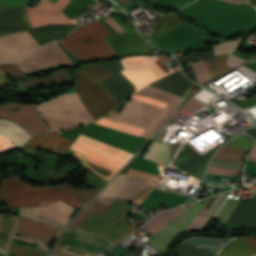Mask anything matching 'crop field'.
<instances>
[{
    "label": "crop field",
    "mask_w": 256,
    "mask_h": 256,
    "mask_svg": "<svg viewBox=\"0 0 256 256\" xmlns=\"http://www.w3.org/2000/svg\"><path fill=\"white\" fill-rule=\"evenodd\" d=\"M78 79L77 93L95 118L113 108L119 100L100 83L113 77L98 66H88L75 72ZM77 93H68L36 105L52 131L70 129L94 121Z\"/></svg>",
    "instance_id": "8a807250"
},
{
    "label": "crop field",
    "mask_w": 256,
    "mask_h": 256,
    "mask_svg": "<svg viewBox=\"0 0 256 256\" xmlns=\"http://www.w3.org/2000/svg\"><path fill=\"white\" fill-rule=\"evenodd\" d=\"M180 11L213 31L227 36L256 29V9L249 4L196 0Z\"/></svg>",
    "instance_id": "ac0d7876"
},
{
    "label": "crop field",
    "mask_w": 256,
    "mask_h": 256,
    "mask_svg": "<svg viewBox=\"0 0 256 256\" xmlns=\"http://www.w3.org/2000/svg\"><path fill=\"white\" fill-rule=\"evenodd\" d=\"M198 203V202H197ZM192 204L187 207H182L178 208L173 211L166 212L162 215L157 216L154 218L152 221H150L145 227H143L141 230L147 232L151 236L157 232L163 225H165L172 217H174L180 210V211L174 218H172L165 226H163L157 233H155L146 243L154 246L158 250L161 248L162 244L164 241L168 238L169 235L172 234L174 230L177 229V227L180 225V223L183 221V219L188 215V213L195 207L197 204ZM200 204L198 203L196 207L189 213V215L185 218V220L182 222V224L179 226V228L173 232L171 236L165 241L163 244L162 249L164 246L167 244L170 238L180 229V227L185 223V221L191 216V214L197 209V207ZM202 206L200 205L198 209L192 214V216L187 220V222L182 226V228L173 236L172 239L168 242L166 247L163 250L164 251L167 249L169 246L170 242L177 236L178 233L182 231V229L185 227V225L188 223V221L193 217V215L201 208ZM211 217V215L202 207L195 215L194 217L190 220V222L187 224V226L184 228L183 231H189V230H195V229H200L205 222Z\"/></svg>",
    "instance_id": "34b2d1b8"
},
{
    "label": "crop field",
    "mask_w": 256,
    "mask_h": 256,
    "mask_svg": "<svg viewBox=\"0 0 256 256\" xmlns=\"http://www.w3.org/2000/svg\"><path fill=\"white\" fill-rule=\"evenodd\" d=\"M55 200H62L77 207L83 203L61 190L34 187L15 176L0 180V204L18 207L39 206Z\"/></svg>",
    "instance_id": "412701ff"
},
{
    "label": "crop field",
    "mask_w": 256,
    "mask_h": 256,
    "mask_svg": "<svg viewBox=\"0 0 256 256\" xmlns=\"http://www.w3.org/2000/svg\"><path fill=\"white\" fill-rule=\"evenodd\" d=\"M109 35L99 22L95 20L89 24L82 25L76 32L59 42L80 61L107 58L117 56L103 38Z\"/></svg>",
    "instance_id": "f4fd0767"
},
{
    "label": "crop field",
    "mask_w": 256,
    "mask_h": 256,
    "mask_svg": "<svg viewBox=\"0 0 256 256\" xmlns=\"http://www.w3.org/2000/svg\"><path fill=\"white\" fill-rule=\"evenodd\" d=\"M181 99L168 104L164 109L130 99L119 114L113 110L107 118L146 128L142 136L150 138L175 112Z\"/></svg>",
    "instance_id": "dd49c442"
},
{
    "label": "crop field",
    "mask_w": 256,
    "mask_h": 256,
    "mask_svg": "<svg viewBox=\"0 0 256 256\" xmlns=\"http://www.w3.org/2000/svg\"><path fill=\"white\" fill-rule=\"evenodd\" d=\"M129 202L116 200L105 211L103 218L89 213L81 229L105 237L113 242H118L135 228L120 221L127 215L122 211Z\"/></svg>",
    "instance_id": "e52e79f7"
},
{
    "label": "crop field",
    "mask_w": 256,
    "mask_h": 256,
    "mask_svg": "<svg viewBox=\"0 0 256 256\" xmlns=\"http://www.w3.org/2000/svg\"><path fill=\"white\" fill-rule=\"evenodd\" d=\"M150 42L169 53H174L179 49L184 52L208 48L206 43L214 42V40L190 24L184 23Z\"/></svg>",
    "instance_id": "d8731c3e"
},
{
    "label": "crop field",
    "mask_w": 256,
    "mask_h": 256,
    "mask_svg": "<svg viewBox=\"0 0 256 256\" xmlns=\"http://www.w3.org/2000/svg\"><path fill=\"white\" fill-rule=\"evenodd\" d=\"M8 108L18 110L11 111ZM0 118L16 122L32 136L49 132L35 105L3 104L0 107Z\"/></svg>",
    "instance_id": "5a996713"
},
{
    "label": "crop field",
    "mask_w": 256,
    "mask_h": 256,
    "mask_svg": "<svg viewBox=\"0 0 256 256\" xmlns=\"http://www.w3.org/2000/svg\"><path fill=\"white\" fill-rule=\"evenodd\" d=\"M62 64L71 65V61L56 41L37 49L25 60L17 63L22 72L26 74Z\"/></svg>",
    "instance_id": "3316defc"
},
{
    "label": "crop field",
    "mask_w": 256,
    "mask_h": 256,
    "mask_svg": "<svg viewBox=\"0 0 256 256\" xmlns=\"http://www.w3.org/2000/svg\"><path fill=\"white\" fill-rule=\"evenodd\" d=\"M38 47L27 31L0 37V63L18 62Z\"/></svg>",
    "instance_id": "28ad6ade"
},
{
    "label": "crop field",
    "mask_w": 256,
    "mask_h": 256,
    "mask_svg": "<svg viewBox=\"0 0 256 256\" xmlns=\"http://www.w3.org/2000/svg\"><path fill=\"white\" fill-rule=\"evenodd\" d=\"M147 187L149 186L137 178L119 173L116 178L99 193L97 199L108 205L118 197L131 200Z\"/></svg>",
    "instance_id": "d1516ede"
},
{
    "label": "crop field",
    "mask_w": 256,
    "mask_h": 256,
    "mask_svg": "<svg viewBox=\"0 0 256 256\" xmlns=\"http://www.w3.org/2000/svg\"><path fill=\"white\" fill-rule=\"evenodd\" d=\"M70 0H48L41 2L27 10V17L33 28L49 23H77L76 19L68 20L61 11Z\"/></svg>",
    "instance_id": "22f410ed"
},
{
    "label": "crop field",
    "mask_w": 256,
    "mask_h": 256,
    "mask_svg": "<svg viewBox=\"0 0 256 256\" xmlns=\"http://www.w3.org/2000/svg\"><path fill=\"white\" fill-rule=\"evenodd\" d=\"M113 244L100 236L76 229H65L56 242V245L77 247L90 254L103 251Z\"/></svg>",
    "instance_id": "cbeb9de0"
},
{
    "label": "crop field",
    "mask_w": 256,
    "mask_h": 256,
    "mask_svg": "<svg viewBox=\"0 0 256 256\" xmlns=\"http://www.w3.org/2000/svg\"><path fill=\"white\" fill-rule=\"evenodd\" d=\"M236 237L229 238H205L200 236H193L181 242V244H185L191 247H195L201 250H205L211 253L220 254L222 248L231 240ZM179 244L177 247L178 256H218L208 252H204L198 249H194L188 246H184ZM224 249V248H223Z\"/></svg>",
    "instance_id": "5142ce71"
},
{
    "label": "crop field",
    "mask_w": 256,
    "mask_h": 256,
    "mask_svg": "<svg viewBox=\"0 0 256 256\" xmlns=\"http://www.w3.org/2000/svg\"><path fill=\"white\" fill-rule=\"evenodd\" d=\"M105 39L119 56L132 53H148L153 49L139 35L136 29L112 35Z\"/></svg>",
    "instance_id": "d9b57169"
},
{
    "label": "crop field",
    "mask_w": 256,
    "mask_h": 256,
    "mask_svg": "<svg viewBox=\"0 0 256 256\" xmlns=\"http://www.w3.org/2000/svg\"><path fill=\"white\" fill-rule=\"evenodd\" d=\"M122 72L132 81L138 91L148 83L172 73L174 70L155 57L149 65L143 68Z\"/></svg>",
    "instance_id": "733c2abd"
},
{
    "label": "crop field",
    "mask_w": 256,
    "mask_h": 256,
    "mask_svg": "<svg viewBox=\"0 0 256 256\" xmlns=\"http://www.w3.org/2000/svg\"><path fill=\"white\" fill-rule=\"evenodd\" d=\"M98 65L115 76L114 78L102 83L114 97L124 100L133 94V84L120 72V70H123L120 61L101 63Z\"/></svg>",
    "instance_id": "4a817a6b"
},
{
    "label": "crop field",
    "mask_w": 256,
    "mask_h": 256,
    "mask_svg": "<svg viewBox=\"0 0 256 256\" xmlns=\"http://www.w3.org/2000/svg\"><path fill=\"white\" fill-rule=\"evenodd\" d=\"M26 7L0 5V35L31 29Z\"/></svg>",
    "instance_id": "bc2a9ffb"
},
{
    "label": "crop field",
    "mask_w": 256,
    "mask_h": 256,
    "mask_svg": "<svg viewBox=\"0 0 256 256\" xmlns=\"http://www.w3.org/2000/svg\"><path fill=\"white\" fill-rule=\"evenodd\" d=\"M73 143L69 139L62 138L51 132L32 137L20 150L33 153L38 148L63 153Z\"/></svg>",
    "instance_id": "214f88e0"
},
{
    "label": "crop field",
    "mask_w": 256,
    "mask_h": 256,
    "mask_svg": "<svg viewBox=\"0 0 256 256\" xmlns=\"http://www.w3.org/2000/svg\"><path fill=\"white\" fill-rule=\"evenodd\" d=\"M59 231L50 227L44 226L40 223L30 221L25 218H19L16 233L18 235L33 236L35 238L44 240L48 243L57 235Z\"/></svg>",
    "instance_id": "92a150f3"
},
{
    "label": "crop field",
    "mask_w": 256,
    "mask_h": 256,
    "mask_svg": "<svg viewBox=\"0 0 256 256\" xmlns=\"http://www.w3.org/2000/svg\"><path fill=\"white\" fill-rule=\"evenodd\" d=\"M16 218H17V216H13V215H9V214H0V246L5 250H7L13 230L15 228ZM17 220H18V218H17ZM12 238L36 243L37 245H39L40 247L45 248V249H48V245H49L45 242L27 238V237H23V236L13 235Z\"/></svg>",
    "instance_id": "dafd665d"
},
{
    "label": "crop field",
    "mask_w": 256,
    "mask_h": 256,
    "mask_svg": "<svg viewBox=\"0 0 256 256\" xmlns=\"http://www.w3.org/2000/svg\"><path fill=\"white\" fill-rule=\"evenodd\" d=\"M149 85L183 97L184 93L193 85L180 72L169 74Z\"/></svg>",
    "instance_id": "00972430"
},
{
    "label": "crop field",
    "mask_w": 256,
    "mask_h": 256,
    "mask_svg": "<svg viewBox=\"0 0 256 256\" xmlns=\"http://www.w3.org/2000/svg\"><path fill=\"white\" fill-rule=\"evenodd\" d=\"M229 224L242 228L256 226V200H244L233 213Z\"/></svg>",
    "instance_id": "a9b5d70f"
},
{
    "label": "crop field",
    "mask_w": 256,
    "mask_h": 256,
    "mask_svg": "<svg viewBox=\"0 0 256 256\" xmlns=\"http://www.w3.org/2000/svg\"><path fill=\"white\" fill-rule=\"evenodd\" d=\"M78 25H51L45 26L28 32L38 42L40 46L58 39L70 31H72Z\"/></svg>",
    "instance_id": "4177f3b9"
},
{
    "label": "crop field",
    "mask_w": 256,
    "mask_h": 256,
    "mask_svg": "<svg viewBox=\"0 0 256 256\" xmlns=\"http://www.w3.org/2000/svg\"><path fill=\"white\" fill-rule=\"evenodd\" d=\"M74 209L61 201H56L46 206L36 207L34 212L66 223Z\"/></svg>",
    "instance_id": "730fd06b"
},
{
    "label": "crop field",
    "mask_w": 256,
    "mask_h": 256,
    "mask_svg": "<svg viewBox=\"0 0 256 256\" xmlns=\"http://www.w3.org/2000/svg\"><path fill=\"white\" fill-rule=\"evenodd\" d=\"M0 133L20 148L32 137L17 124L2 119H0Z\"/></svg>",
    "instance_id": "eef30255"
},
{
    "label": "crop field",
    "mask_w": 256,
    "mask_h": 256,
    "mask_svg": "<svg viewBox=\"0 0 256 256\" xmlns=\"http://www.w3.org/2000/svg\"><path fill=\"white\" fill-rule=\"evenodd\" d=\"M76 142L87 145V146H89L91 148H94L96 150L102 151V152H104V153H106V154L124 162V163H126L129 160V158L132 156V154L123 152V151H121L119 149H116L112 146H109L107 144L95 141L93 139H90V138L82 136V135H80L78 137Z\"/></svg>",
    "instance_id": "ae1a2a85"
},
{
    "label": "crop field",
    "mask_w": 256,
    "mask_h": 256,
    "mask_svg": "<svg viewBox=\"0 0 256 256\" xmlns=\"http://www.w3.org/2000/svg\"><path fill=\"white\" fill-rule=\"evenodd\" d=\"M144 158L152 160L161 166L169 164V144L153 140Z\"/></svg>",
    "instance_id": "d3111659"
},
{
    "label": "crop field",
    "mask_w": 256,
    "mask_h": 256,
    "mask_svg": "<svg viewBox=\"0 0 256 256\" xmlns=\"http://www.w3.org/2000/svg\"><path fill=\"white\" fill-rule=\"evenodd\" d=\"M63 80H73L72 75L68 71H56L51 73L45 79H35L30 81H17L20 86V91L27 90L33 87L41 86L48 83L63 81Z\"/></svg>",
    "instance_id": "750c4746"
},
{
    "label": "crop field",
    "mask_w": 256,
    "mask_h": 256,
    "mask_svg": "<svg viewBox=\"0 0 256 256\" xmlns=\"http://www.w3.org/2000/svg\"><path fill=\"white\" fill-rule=\"evenodd\" d=\"M71 148L93 158V159H96L112 168H115V169H119L120 167H122L124 165V163L114 159V158H111L101 152H98L94 149H91V148H88V147H85L81 144H78L76 142L73 143V145L71 146Z\"/></svg>",
    "instance_id": "bd1437ed"
},
{
    "label": "crop field",
    "mask_w": 256,
    "mask_h": 256,
    "mask_svg": "<svg viewBox=\"0 0 256 256\" xmlns=\"http://www.w3.org/2000/svg\"><path fill=\"white\" fill-rule=\"evenodd\" d=\"M225 196H226V194H222L221 195L220 199L218 200L217 204L215 205V207L213 208V210L211 212V214L213 216H216V218H217V216L219 215L220 211L222 210V208L224 207L225 203L228 200V199H225ZM207 201H208V199L205 200L202 203V205L204 206ZM237 203H238L237 200L229 199L217 219L226 223L227 219L231 215V213L234 210V208L236 207Z\"/></svg>",
    "instance_id": "1d83c4d3"
},
{
    "label": "crop field",
    "mask_w": 256,
    "mask_h": 256,
    "mask_svg": "<svg viewBox=\"0 0 256 256\" xmlns=\"http://www.w3.org/2000/svg\"><path fill=\"white\" fill-rule=\"evenodd\" d=\"M253 254H256L255 251L245 237H243L230 243L222 256H250Z\"/></svg>",
    "instance_id": "120bbe31"
},
{
    "label": "crop field",
    "mask_w": 256,
    "mask_h": 256,
    "mask_svg": "<svg viewBox=\"0 0 256 256\" xmlns=\"http://www.w3.org/2000/svg\"><path fill=\"white\" fill-rule=\"evenodd\" d=\"M159 18L161 19L157 21V27L152 30L149 41L185 22L178 20L176 13Z\"/></svg>",
    "instance_id": "d32e631a"
},
{
    "label": "crop field",
    "mask_w": 256,
    "mask_h": 256,
    "mask_svg": "<svg viewBox=\"0 0 256 256\" xmlns=\"http://www.w3.org/2000/svg\"><path fill=\"white\" fill-rule=\"evenodd\" d=\"M73 155L77 156L78 158H80L84 165L86 167H88L91 171H93L95 174L109 180L112 175L116 172V170L110 168V167H107L101 163H98L84 155H82L81 153L79 152H75Z\"/></svg>",
    "instance_id": "5866460e"
},
{
    "label": "crop field",
    "mask_w": 256,
    "mask_h": 256,
    "mask_svg": "<svg viewBox=\"0 0 256 256\" xmlns=\"http://www.w3.org/2000/svg\"><path fill=\"white\" fill-rule=\"evenodd\" d=\"M242 163L228 162L213 159L211 165L241 169ZM210 166L207 173L221 175H238L240 170Z\"/></svg>",
    "instance_id": "028f5c9d"
},
{
    "label": "crop field",
    "mask_w": 256,
    "mask_h": 256,
    "mask_svg": "<svg viewBox=\"0 0 256 256\" xmlns=\"http://www.w3.org/2000/svg\"><path fill=\"white\" fill-rule=\"evenodd\" d=\"M34 208L35 207L19 208L20 215L24 216L26 218L35 220V221H39V222L45 223V224H47V225H49L51 227H54V228H57V229H60V230L62 229L64 224L32 212Z\"/></svg>",
    "instance_id": "e1f06a70"
},
{
    "label": "crop field",
    "mask_w": 256,
    "mask_h": 256,
    "mask_svg": "<svg viewBox=\"0 0 256 256\" xmlns=\"http://www.w3.org/2000/svg\"><path fill=\"white\" fill-rule=\"evenodd\" d=\"M95 123H99V124H102L106 127L116 129V130H120V131H124V132H128V133H132V134H135V135H138V136H140V134L144 130L143 128L127 125V124H124V123H119V122L112 121L110 119H106V118H103V117L100 118Z\"/></svg>",
    "instance_id": "0bd39190"
},
{
    "label": "crop field",
    "mask_w": 256,
    "mask_h": 256,
    "mask_svg": "<svg viewBox=\"0 0 256 256\" xmlns=\"http://www.w3.org/2000/svg\"><path fill=\"white\" fill-rule=\"evenodd\" d=\"M227 56H228V54L213 57V58H210V59L204 61L212 77L231 69L224 65V63L227 59Z\"/></svg>",
    "instance_id": "b80d0937"
},
{
    "label": "crop field",
    "mask_w": 256,
    "mask_h": 256,
    "mask_svg": "<svg viewBox=\"0 0 256 256\" xmlns=\"http://www.w3.org/2000/svg\"><path fill=\"white\" fill-rule=\"evenodd\" d=\"M136 94L156 98V99H159V100L167 102V103H170L172 101H175V100L181 98V97L158 90V89L150 87V86L143 88L142 90L138 91Z\"/></svg>",
    "instance_id": "c035e120"
},
{
    "label": "crop field",
    "mask_w": 256,
    "mask_h": 256,
    "mask_svg": "<svg viewBox=\"0 0 256 256\" xmlns=\"http://www.w3.org/2000/svg\"><path fill=\"white\" fill-rule=\"evenodd\" d=\"M154 57V56H153ZM153 57L138 56V57H127L121 60L124 69L135 68L145 66Z\"/></svg>",
    "instance_id": "c21b1889"
},
{
    "label": "crop field",
    "mask_w": 256,
    "mask_h": 256,
    "mask_svg": "<svg viewBox=\"0 0 256 256\" xmlns=\"http://www.w3.org/2000/svg\"><path fill=\"white\" fill-rule=\"evenodd\" d=\"M191 66L195 73L197 83L201 84V83L205 82L206 80L210 79L203 61L195 63V64H191Z\"/></svg>",
    "instance_id": "03da06ac"
},
{
    "label": "crop field",
    "mask_w": 256,
    "mask_h": 256,
    "mask_svg": "<svg viewBox=\"0 0 256 256\" xmlns=\"http://www.w3.org/2000/svg\"><path fill=\"white\" fill-rule=\"evenodd\" d=\"M241 43V39H237L233 42H226L223 44H217V45H211L212 50L214 53L218 54V53H223V52H230L234 49H237L238 46Z\"/></svg>",
    "instance_id": "b54c1fbb"
},
{
    "label": "crop field",
    "mask_w": 256,
    "mask_h": 256,
    "mask_svg": "<svg viewBox=\"0 0 256 256\" xmlns=\"http://www.w3.org/2000/svg\"><path fill=\"white\" fill-rule=\"evenodd\" d=\"M156 4L167 6L178 10L179 8L191 3L194 0H150Z\"/></svg>",
    "instance_id": "5d738f31"
},
{
    "label": "crop field",
    "mask_w": 256,
    "mask_h": 256,
    "mask_svg": "<svg viewBox=\"0 0 256 256\" xmlns=\"http://www.w3.org/2000/svg\"><path fill=\"white\" fill-rule=\"evenodd\" d=\"M213 55H215V54L212 51L194 53V54H191V55H188V56L178 58V61L180 62V64H185V63L190 62V61L211 57Z\"/></svg>",
    "instance_id": "d23c7cc5"
},
{
    "label": "crop field",
    "mask_w": 256,
    "mask_h": 256,
    "mask_svg": "<svg viewBox=\"0 0 256 256\" xmlns=\"http://www.w3.org/2000/svg\"><path fill=\"white\" fill-rule=\"evenodd\" d=\"M202 185L224 190V191L232 189L230 186L216 180L215 178H205Z\"/></svg>",
    "instance_id": "425ffa30"
},
{
    "label": "crop field",
    "mask_w": 256,
    "mask_h": 256,
    "mask_svg": "<svg viewBox=\"0 0 256 256\" xmlns=\"http://www.w3.org/2000/svg\"><path fill=\"white\" fill-rule=\"evenodd\" d=\"M8 252L15 253V254H21V255H25V256H48L46 254H42V253H39L36 251H32V250L17 247V246H10Z\"/></svg>",
    "instance_id": "25e5ab78"
},
{
    "label": "crop field",
    "mask_w": 256,
    "mask_h": 256,
    "mask_svg": "<svg viewBox=\"0 0 256 256\" xmlns=\"http://www.w3.org/2000/svg\"><path fill=\"white\" fill-rule=\"evenodd\" d=\"M0 68L10 77H26L14 64L0 65Z\"/></svg>",
    "instance_id": "73cf0c24"
},
{
    "label": "crop field",
    "mask_w": 256,
    "mask_h": 256,
    "mask_svg": "<svg viewBox=\"0 0 256 256\" xmlns=\"http://www.w3.org/2000/svg\"><path fill=\"white\" fill-rule=\"evenodd\" d=\"M205 104L195 100V99H191L183 108L182 110H185L187 112L193 113L194 111L204 107Z\"/></svg>",
    "instance_id": "89e229c0"
},
{
    "label": "crop field",
    "mask_w": 256,
    "mask_h": 256,
    "mask_svg": "<svg viewBox=\"0 0 256 256\" xmlns=\"http://www.w3.org/2000/svg\"><path fill=\"white\" fill-rule=\"evenodd\" d=\"M133 99H137V100H140V101L152 104V105H156V106H159V107H162V108H164L167 105V103L161 102L159 100L146 98V97L136 95V94H134Z\"/></svg>",
    "instance_id": "1f2cbd36"
},
{
    "label": "crop field",
    "mask_w": 256,
    "mask_h": 256,
    "mask_svg": "<svg viewBox=\"0 0 256 256\" xmlns=\"http://www.w3.org/2000/svg\"><path fill=\"white\" fill-rule=\"evenodd\" d=\"M255 104H256V94L247 98V99H245V100H243V101H241V102H239V103H237V105L239 107H241L242 109L253 106Z\"/></svg>",
    "instance_id": "dbb93151"
},
{
    "label": "crop field",
    "mask_w": 256,
    "mask_h": 256,
    "mask_svg": "<svg viewBox=\"0 0 256 256\" xmlns=\"http://www.w3.org/2000/svg\"><path fill=\"white\" fill-rule=\"evenodd\" d=\"M16 147L12 142L0 134V151Z\"/></svg>",
    "instance_id": "0fb4a251"
},
{
    "label": "crop field",
    "mask_w": 256,
    "mask_h": 256,
    "mask_svg": "<svg viewBox=\"0 0 256 256\" xmlns=\"http://www.w3.org/2000/svg\"><path fill=\"white\" fill-rule=\"evenodd\" d=\"M242 62H244V60L230 54L225 64L233 68Z\"/></svg>",
    "instance_id": "1d79db26"
},
{
    "label": "crop field",
    "mask_w": 256,
    "mask_h": 256,
    "mask_svg": "<svg viewBox=\"0 0 256 256\" xmlns=\"http://www.w3.org/2000/svg\"><path fill=\"white\" fill-rule=\"evenodd\" d=\"M249 135H251L256 143V128H252L247 131ZM248 160L250 161H256V147L253 149V151L250 153Z\"/></svg>",
    "instance_id": "9d1cf04e"
},
{
    "label": "crop field",
    "mask_w": 256,
    "mask_h": 256,
    "mask_svg": "<svg viewBox=\"0 0 256 256\" xmlns=\"http://www.w3.org/2000/svg\"><path fill=\"white\" fill-rule=\"evenodd\" d=\"M62 250L69 251V252H71L75 255H78V256H87V255H89V254H87V253H85V252H83L79 249L68 247V246L64 247Z\"/></svg>",
    "instance_id": "447ae74e"
},
{
    "label": "crop field",
    "mask_w": 256,
    "mask_h": 256,
    "mask_svg": "<svg viewBox=\"0 0 256 256\" xmlns=\"http://www.w3.org/2000/svg\"><path fill=\"white\" fill-rule=\"evenodd\" d=\"M116 31L117 33L124 31L122 27H120L111 17L105 19Z\"/></svg>",
    "instance_id": "0765c3eb"
},
{
    "label": "crop field",
    "mask_w": 256,
    "mask_h": 256,
    "mask_svg": "<svg viewBox=\"0 0 256 256\" xmlns=\"http://www.w3.org/2000/svg\"><path fill=\"white\" fill-rule=\"evenodd\" d=\"M100 24L110 33V34H114L116 33L115 30L113 28H111L104 20H102L101 18L97 19Z\"/></svg>",
    "instance_id": "db79e9e6"
},
{
    "label": "crop field",
    "mask_w": 256,
    "mask_h": 256,
    "mask_svg": "<svg viewBox=\"0 0 256 256\" xmlns=\"http://www.w3.org/2000/svg\"><path fill=\"white\" fill-rule=\"evenodd\" d=\"M247 240L250 242L254 250L256 251V239L254 236H246Z\"/></svg>",
    "instance_id": "7b73153f"
},
{
    "label": "crop field",
    "mask_w": 256,
    "mask_h": 256,
    "mask_svg": "<svg viewBox=\"0 0 256 256\" xmlns=\"http://www.w3.org/2000/svg\"><path fill=\"white\" fill-rule=\"evenodd\" d=\"M158 58H159L160 60H162L164 63H167L168 61L171 60V59H169V58H167V57H164V56H162V55L158 56Z\"/></svg>",
    "instance_id": "78b8030e"
},
{
    "label": "crop field",
    "mask_w": 256,
    "mask_h": 256,
    "mask_svg": "<svg viewBox=\"0 0 256 256\" xmlns=\"http://www.w3.org/2000/svg\"><path fill=\"white\" fill-rule=\"evenodd\" d=\"M119 1H121V2H123V3L128 5L132 0H119Z\"/></svg>",
    "instance_id": "0f1d7ab4"
},
{
    "label": "crop field",
    "mask_w": 256,
    "mask_h": 256,
    "mask_svg": "<svg viewBox=\"0 0 256 256\" xmlns=\"http://www.w3.org/2000/svg\"><path fill=\"white\" fill-rule=\"evenodd\" d=\"M249 3H251V4L256 6V0H250Z\"/></svg>",
    "instance_id": "e1d0b9f6"
},
{
    "label": "crop field",
    "mask_w": 256,
    "mask_h": 256,
    "mask_svg": "<svg viewBox=\"0 0 256 256\" xmlns=\"http://www.w3.org/2000/svg\"><path fill=\"white\" fill-rule=\"evenodd\" d=\"M227 1H230V2H239L240 0H227Z\"/></svg>",
    "instance_id": "ae633e8c"
},
{
    "label": "crop field",
    "mask_w": 256,
    "mask_h": 256,
    "mask_svg": "<svg viewBox=\"0 0 256 256\" xmlns=\"http://www.w3.org/2000/svg\"><path fill=\"white\" fill-rule=\"evenodd\" d=\"M250 62L255 63L256 64V58H254L253 60H251Z\"/></svg>",
    "instance_id": "d14b1444"
},
{
    "label": "crop field",
    "mask_w": 256,
    "mask_h": 256,
    "mask_svg": "<svg viewBox=\"0 0 256 256\" xmlns=\"http://www.w3.org/2000/svg\"><path fill=\"white\" fill-rule=\"evenodd\" d=\"M8 254V256H18V255H13V254H9V253H7Z\"/></svg>",
    "instance_id": "c39391a2"
},
{
    "label": "crop field",
    "mask_w": 256,
    "mask_h": 256,
    "mask_svg": "<svg viewBox=\"0 0 256 256\" xmlns=\"http://www.w3.org/2000/svg\"><path fill=\"white\" fill-rule=\"evenodd\" d=\"M246 1H248V0H242L241 2H246Z\"/></svg>",
    "instance_id": "ade564c9"
},
{
    "label": "crop field",
    "mask_w": 256,
    "mask_h": 256,
    "mask_svg": "<svg viewBox=\"0 0 256 256\" xmlns=\"http://www.w3.org/2000/svg\"><path fill=\"white\" fill-rule=\"evenodd\" d=\"M255 237H256V235H255Z\"/></svg>",
    "instance_id": "c5b07064"
},
{
    "label": "crop field",
    "mask_w": 256,
    "mask_h": 256,
    "mask_svg": "<svg viewBox=\"0 0 256 256\" xmlns=\"http://www.w3.org/2000/svg\"><path fill=\"white\" fill-rule=\"evenodd\" d=\"M0 256H2V255H0Z\"/></svg>",
    "instance_id": "c3a83c6f"
},
{
    "label": "crop field",
    "mask_w": 256,
    "mask_h": 256,
    "mask_svg": "<svg viewBox=\"0 0 256 256\" xmlns=\"http://www.w3.org/2000/svg\"><path fill=\"white\" fill-rule=\"evenodd\" d=\"M101 256V255H100Z\"/></svg>",
    "instance_id": "fb207236"
}]
</instances>
